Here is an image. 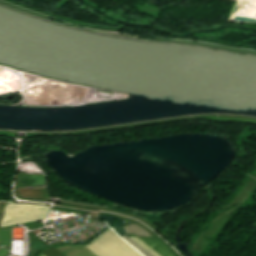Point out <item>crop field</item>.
Masks as SVG:
<instances>
[{
    "mask_svg": "<svg viewBox=\"0 0 256 256\" xmlns=\"http://www.w3.org/2000/svg\"><path fill=\"white\" fill-rule=\"evenodd\" d=\"M131 238L134 242H136L138 245H140L142 248H144L146 251H148L150 254H152L153 256H159L155 251H153L152 249H150L148 246H146L143 242H141L138 238Z\"/></svg>",
    "mask_w": 256,
    "mask_h": 256,
    "instance_id": "crop-field-5",
    "label": "crop field"
},
{
    "mask_svg": "<svg viewBox=\"0 0 256 256\" xmlns=\"http://www.w3.org/2000/svg\"><path fill=\"white\" fill-rule=\"evenodd\" d=\"M50 206L9 203L1 227L46 219Z\"/></svg>",
    "mask_w": 256,
    "mask_h": 256,
    "instance_id": "crop-field-2",
    "label": "crop field"
},
{
    "mask_svg": "<svg viewBox=\"0 0 256 256\" xmlns=\"http://www.w3.org/2000/svg\"><path fill=\"white\" fill-rule=\"evenodd\" d=\"M41 253L44 254L45 256H64L54 247L47 248L43 250Z\"/></svg>",
    "mask_w": 256,
    "mask_h": 256,
    "instance_id": "crop-field-4",
    "label": "crop field"
},
{
    "mask_svg": "<svg viewBox=\"0 0 256 256\" xmlns=\"http://www.w3.org/2000/svg\"><path fill=\"white\" fill-rule=\"evenodd\" d=\"M158 0H150V3H155L157 4Z\"/></svg>",
    "mask_w": 256,
    "mask_h": 256,
    "instance_id": "crop-field-6",
    "label": "crop field"
},
{
    "mask_svg": "<svg viewBox=\"0 0 256 256\" xmlns=\"http://www.w3.org/2000/svg\"><path fill=\"white\" fill-rule=\"evenodd\" d=\"M86 247L97 256H140L122 241L112 230H107L96 237Z\"/></svg>",
    "mask_w": 256,
    "mask_h": 256,
    "instance_id": "crop-field-1",
    "label": "crop field"
},
{
    "mask_svg": "<svg viewBox=\"0 0 256 256\" xmlns=\"http://www.w3.org/2000/svg\"><path fill=\"white\" fill-rule=\"evenodd\" d=\"M40 256H43L42 254Z\"/></svg>",
    "mask_w": 256,
    "mask_h": 256,
    "instance_id": "crop-field-7",
    "label": "crop field"
},
{
    "mask_svg": "<svg viewBox=\"0 0 256 256\" xmlns=\"http://www.w3.org/2000/svg\"><path fill=\"white\" fill-rule=\"evenodd\" d=\"M151 237L147 238H141L138 237L140 240H142L146 245L151 247L153 250H155L157 253H159L161 256H173L169 250H167L162 243L154 238L151 234Z\"/></svg>",
    "mask_w": 256,
    "mask_h": 256,
    "instance_id": "crop-field-3",
    "label": "crop field"
}]
</instances>
